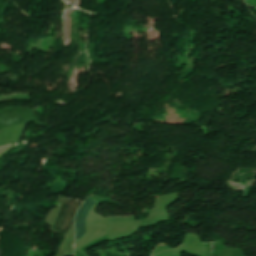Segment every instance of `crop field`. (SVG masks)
<instances>
[{
  "mask_svg": "<svg viewBox=\"0 0 256 256\" xmlns=\"http://www.w3.org/2000/svg\"><path fill=\"white\" fill-rule=\"evenodd\" d=\"M79 205V202L66 199L53 228L66 234L73 223V218Z\"/></svg>",
  "mask_w": 256,
  "mask_h": 256,
  "instance_id": "1",
  "label": "crop field"
},
{
  "mask_svg": "<svg viewBox=\"0 0 256 256\" xmlns=\"http://www.w3.org/2000/svg\"><path fill=\"white\" fill-rule=\"evenodd\" d=\"M95 201L87 198L84 203L80 206L77 216L75 218V228H76V240L85 236V217L88 214L89 210L93 206Z\"/></svg>",
  "mask_w": 256,
  "mask_h": 256,
  "instance_id": "2",
  "label": "crop field"
}]
</instances>
